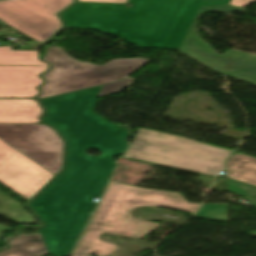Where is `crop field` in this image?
Wrapping results in <instances>:
<instances>
[{
	"mask_svg": "<svg viewBox=\"0 0 256 256\" xmlns=\"http://www.w3.org/2000/svg\"><path fill=\"white\" fill-rule=\"evenodd\" d=\"M231 0H129L120 38L140 47L179 49L202 6Z\"/></svg>",
	"mask_w": 256,
	"mask_h": 256,
	"instance_id": "34b2d1b8",
	"label": "crop field"
},
{
	"mask_svg": "<svg viewBox=\"0 0 256 256\" xmlns=\"http://www.w3.org/2000/svg\"><path fill=\"white\" fill-rule=\"evenodd\" d=\"M53 176L19 152L0 167V183L27 200Z\"/></svg>",
	"mask_w": 256,
	"mask_h": 256,
	"instance_id": "3316defc",
	"label": "crop field"
},
{
	"mask_svg": "<svg viewBox=\"0 0 256 256\" xmlns=\"http://www.w3.org/2000/svg\"><path fill=\"white\" fill-rule=\"evenodd\" d=\"M126 11H127V9H126ZM125 15H126V13H125ZM124 19H125V16H124ZM124 19H123V22H124ZM122 26H123V23H122ZM122 26H121V29H122ZM121 29H120V32H121ZM119 36H120V33H119Z\"/></svg>",
	"mask_w": 256,
	"mask_h": 256,
	"instance_id": "92a150f3",
	"label": "crop field"
},
{
	"mask_svg": "<svg viewBox=\"0 0 256 256\" xmlns=\"http://www.w3.org/2000/svg\"><path fill=\"white\" fill-rule=\"evenodd\" d=\"M255 1L256 0H232L231 5L243 7L247 4H249V2H255Z\"/></svg>",
	"mask_w": 256,
	"mask_h": 256,
	"instance_id": "214f88e0",
	"label": "crop field"
},
{
	"mask_svg": "<svg viewBox=\"0 0 256 256\" xmlns=\"http://www.w3.org/2000/svg\"><path fill=\"white\" fill-rule=\"evenodd\" d=\"M38 59V51H12L10 46L0 47V65H48Z\"/></svg>",
	"mask_w": 256,
	"mask_h": 256,
	"instance_id": "5142ce71",
	"label": "crop field"
},
{
	"mask_svg": "<svg viewBox=\"0 0 256 256\" xmlns=\"http://www.w3.org/2000/svg\"><path fill=\"white\" fill-rule=\"evenodd\" d=\"M0 138L51 172L62 169L63 141L43 124H0Z\"/></svg>",
	"mask_w": 256,
	"mask_h": 256,
	"instance_id": "d8731c3e",
	"label": "crop field"
},
{
	"mask_svg": "<svg viewBox=\"0 0 256 256\" xmlns=\"http://www.w3.org/2000/svg\"><path fill=\"white\" fill-rule=\"evenodd\" d=\"M230 152L141 128L126 157L215 176Z\"/></svg>",
	"mask_w": 256,
	"mask_h": 256,
	"instance_id": "412701ff",
	"label": "crop field"
},
{
	"mask_svg": "<svg viewBox=\"0 0 256 256\" xmlns=\"http://www.w3.org/2000/svg\"><path fill=\"white\" fill-rule=\"evenodd\" d=\"M0 24H4V23H2V22L0 21Z\"/></svg>",
	"mask_w": 256,
	"mask_h": 256,
	"instance_id": "dafd665d",
	"label": "crop field"
},
{
	"mask_svg": "<svg viewBox=\"0 0 256 256\" xmlns=\"http://www.w3.org/2000/svg\"><path fill=\"white\" fill-rule=\"evenodd\" d=\"M227 177L256 186V158L234 153L226 162Z\"/></svg>",
	"mask_w": 256,
	"mask_h": 256,
	"instance_id": "cbeb9de0",
	"label": "crop field"
},
{
	"mask_svg": "<svg viewBox=\"0 0 256 256\" xmlns=\"http://www.w3.org/2000/svg\"><path fill=\"white\" fill-rule=\"evenodd\" d=\"M42 114L34 99H0V123H39ZM17 151L0 139V166Z\"/></svg>",
	"mask_w": 256,
	"mask_h": 256,
	"instance_id": "d1516ede",
	"label": "crop field"
},
{
	"mask_svg": "<svg viewBox=\"0 0 256 256\" xmlns=\"http://www.w3.org/2000/svg\"><path fill=\"white\" fill-rule=\"evenodd\" d=\"M140 206H162L195 213L200 204L186 202L180 194L135 188L111 181L72 256H89L86 253L106 256L117 250L119 246L100 240L102 233L142 238L159 227L160 224L141 221L130 214L132 209Z\"/></svg>",
	"mask_w": 256,
	"mask_h": 256,
	"instance_id": "ac0d7876",
	"label": "crop field"
},
{
	"mask_svg": "<svg viewBox=\"0 0 256 256\" xmlns=\"http://www.w3.org/2000/svg\"><path fill=\"white\" fill-rule=\"evenodd\" d=\"M129 82H130V79L126 78V79H124L123 81H120V82L105 84V85H103L99 95L103 96V95L118 92L122 88H124L126 85H128Z\"/></svg>",
	"mask_w": 256,
	"mask_h": 256,
	"instance_id": "4a817a6b",
	"label": "crop field"
},
{
	"mask_svg": "<svg viewBox=\"0 0 256 256\" xmlns=\"http://www.w3.org/2000/svg\"><path fill=\"white\" fill-rule=\"evenodd\" d=\"M125 4L77 2L60 14L67 28L96 29L118 36Z\"/></svg>",
	"mask_w": 256,
	"mask_h": 256,
	"instance_id": "5a996713",
	"label": "crop field"
},
{
	"mask_svg": "<svg viewBox=\"0 0 256 256\" xmlns=\"http://www.w3.org/2000/svg\"><path fill=\"white\" fill-rule=\"evenodd\" d=\"M209 11L228 12L245 9L231 6H210L201 8L188 35L186 36L180 51L200 62L204 66L215 70L228 77L240 79L256 86V55L239 51L226 52L224 55H217L209 44L197 37L196 24L201 14Z\"/></svg>",
	"mask_w": 256,
	"mask_h": 256,
	"instance_id": "dd49c442",
	"label": "crop field"
},
{
	"mask_svg": "<svg viewBox=\"0 0 256 256\" xmlns=\"http://www.w3.org/2000/svg\"><path fill=\"white\" fill-rule=\"evenodd\" d=\"M195 217L205 220L228 222L227 204H204Z\"/></svg>",
	"mask_w": 256,
	"mask_h": 256,
	"instance_id": "d9b57169",
	"label": "crop field"
},
{
	"mask_svg": "<svg viewBox=\"0 0 256 256\" xmlns=\"http://www.w3.org/2000/svg\"><path fill=\"white\" fill-rule=\"evenodd\" d=\"M73 2L74 0L0 1V20L43 43L62 27L56 14Z\"/></svg>",
	"mask_w": 256,
	"mask_h": 256,
	"instance_id": "e52e79f7",
	"label": "crop field"
},
{
	"mask_svg": "<svg viewBox=\"0 0 256 256\" xmlns=\"http://www.w3.org/2000/svg\"><path fill=\"white\" fill-rule=\"evenodd\" d=\"M228 191L234 192L256 205V188L227 179Z\"/></svg>",
	"mask_w": 256,
	"mask_h": 256,
	"instance_id": "733c2abd",
	"label": "crop field"
},
{
	"mask_svg": "<svg viewBox=\"0 0 256 256\" xmlns=\"http://www.w3.org/2000/svg\"><path fill=\"white\" fill-rule=\"evenodd\" d=\"M43 59L52 68L43 75L47 83L40 88L43 94L38 99L122 80L148 62L142 58L114 59L105 66H94L80 63L56 47L49 48Z\"/></svg>",
	"mask_w": 256,
	"mask_h": 256,
	"instance_id": "f4fd0767",
	"label": "crop field"
},
{
	"mask_svg": "<svg viewBox=\"0 0 256 256\" xmlns=\"http://www.w3.org/2000/svg\"><path fill=\"white\" fill-rule=\"evenodd\" d=\"M81 2L126 3L127 0H78Z\"/></svg>",
	"mask_w": 256,
	"mask_h": 256,
	"instance_id": "bc2a9ffb",
	"label": "crop field"
},
{
	"mask_svg": "<svg viewBox=\"0 0 256 256\" xmlns=\"http://www.w3.org/2000/svg\"><path fill=\"white\" fill-rule=\"evenodd\" d=\"M101 85L66 93L41 102L46 109L42 121L59 130L67 141L66 167L29 206L44 222L39 229L53 256L70 254L81 235L115 163L124 153L128 130L94 113ZM102 151L100 157L86 153Z\"/></svg>",
	"mask_w": 256,
	"mask_h": 256,
	"instance_id": "8a807250",
	"label": "crop field"
},
{
	"mask_svg": "<svg viewBox=\"0 0 256 256\" xmlns=\"http://www.w3.org/2000/svg\"><path fill=\"white\" fill-rule=\"evenodd\" d=\"M48 66H0V97L35 98L36 87L44 81L39 75Z\"/></svg>",
	"mask_w": 256,
	"mask_h": 256,
	"instance_id": "28ad6ade",
	"label": "crop field"
},
{
	"mask_svg": "<svg viewBox=\"0 0 256 256\" xmlns=\"http://www.w3.org/2000/svg\"><path fill=\"white\" fill-rule=\"evenodd\" d=\"M10 248L0 251V256H42L47 253L41 234H19L8 242Z\"/></svg>",
	"mask_w": 256,
	"mask_h": 256,
	"instance_id": "22f410ed",
	"label": "crop field"
}]
</instances>
